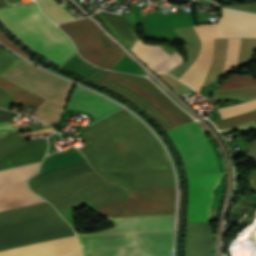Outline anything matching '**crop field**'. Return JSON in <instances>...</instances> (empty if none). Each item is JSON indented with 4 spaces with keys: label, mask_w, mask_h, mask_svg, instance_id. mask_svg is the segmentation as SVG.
<instances>
[{
    "label": "crop field",
    "mask_w": 256,
    "mask_h": 256,
    "mask_svg": "<svg viewBox=\"0 0 256 256\" xmlns=\"http://www.w3.org/2000/svg\"><path fill=\"white\" fill-rule=\"evenodd\" d=\"M84 159L85 158L83 157V155L75 148L54 153L53 157L44 159L41 168L37 174L50 171Z\"/></svg>",
    "instance_id": "15"
},
{
    "label": "crop field",
    "mask_w": 256,
    "mask_h": 256,
    "mask_svg": "<svg viewBox=\"0 0 256 256\" xmlns=\"http://www.w3.org/2000/svg\"><path fill=\"white\" fill-rule=\"evenodd\" d=\"M178 148L187 175L218 172L211 147L196 122L167 131Z\"/></svg>",
    "instance_id": "8"
},
{
    "label": "crop field",
    "mask_w": 256,
    "mask_h": 256,
    "mask_svg": "<svg viewBox=\"0 0 256 256\" xmlns=\"http://www.w3.org/2000/svg\"><path fill=\"white\" fill-rule=\"evenodd\" d=\"M185 61L179 54L176 52L173 53L170 57L166 58L164 61H162L160 64H158L153 69L157 72H169L172 70L175 66Z\"/></svg>",
    "instance_id": "25"
},
{
    "label": "crop field",
    "mask_w": 256,
    "mask_h": 256,
    "mask_svg": "<svg viewBox=\"0 0 256 256\" xmlns=\"http://www.w3.org/2000/svg\"><path fill=\"white\" fill-rule=\"evenodd\" d=\"M26 141L28 140L25 137L17 134H12L0 140V157L4 156L5 154L12 151Z\"/></svg>",
    "instance_id": "23"
},
{
    "label": "crop field",
    "mask_w": 256,
    "mask_h": 256,
    "mask_svg": "<svg viewBox=\"0 0 256 256\" xmlns=\"http://www.w3.org/2000/svg\"><path fill=\"white\" fill-rule=\"evenodd\" d=\"M20 60L8 51L4 49L0 50V76Z\"/></svg>",
    "instance_id": "26"
},
{
    "label": "crop field",
    "mask_w": 256,
    "mask_h": 256,
    "mask_svg": "<svg viewBox=\"0 0 256 256\" xmlns=\"http://www.w3.org/2000/svg\"><path fill=\"white\" fill-rule=\"evenodd\" d=\"M58 26L72 39L79 54L97 66L115 46L95 24L87 19Z\"/></svg>",
    "instance_id": "9"
},
{
    "label": "crop field",
    "mask_w": 256,
    "mask_h": 256,
    "mask_svg": "<svg viewBox=\"0 0 256 256\" xmlns=\"http://www.w3.org/2000/svg\"><path fill=\"white\" fill-rule=\"evenodd\" d=\"M13 112L5 111L0 109V122L3 121H12ZM11 122L0 123V136L10 132L17 130L15 127L10 125Z\"/></svg>",
    "instance_id": "28"
},
{
    "label": "crop field",
    "mask_w": 256,
    "mask_h": 256,
    "mask_svg": "<svg viewBox=\"0 0 256 256\" xmlns=\"http://www.w3.org/2000/svg\"><path fill=\"white\" fill-rule=\"evenodd\" d=\"M12 97L13 95H11L9 92H7L2 87H0V107L1 108L8 109Z\"/></svg>",
    "instance_id": "29"
},
{
    "label": "crop field",
    "mask_w": 256,
    "mask_h": 256,
    "mask_svg": "<svg viewBox=\"0 0 256 256\" xmlns=\"http://www.w3.org/2000/svg\"><path fill=\"white\" fill-rule=\"evenodd\" d=\"M38 164L0 170V212L43 203L24 185ZM72 234V229L47 203L0 213V251ZM80 255L75 235L0 252V256Z\"/></svg>",
    "instance_id": "2"
},
{
    "label": "crop field",
    "mask_w": 256,
    "mask_h": 256,
    "mask_svg": "<svg viewBox=\"0 0 256 256\" xmlns=\"http://www.w3.org/2000/svg\"><path fill=\"white\" fill-rule=\"evenodd\" d=\"M0 41L3 42L5 45H7L12 50L16 51L20 55L24 56L25 58H30L28 55H26L23 51L15 47L1 32H0Z\"/></svg>",
    "instance_id": "31"
},
{
    "label": "crop field",
    "mask_w": 256,
    "mask_h": 256,
    "mask_svg": "<svg viewBox=\"0 0 256 256\" xmlns=\"http://www.w3.org/2000/svg\"><path fill=\"white\" fill-rule=\"evenodd\" d=\"M97 83L140 106L165 131L193 121L147 78L107 71Z\"/></svg>",
    "instance_id": "5"
},
{
    "label": "crop field",
    "mask_w": 256,
    "mask_h": 256,
    "mask_svg": "<svg viewBox=\"0 0 256 256\" xmlns=\"http://www.w3.org/2000/svg\"><path fill=\"white\" fill-rule=\"evenodd\" d=\"M8 6L5 2V0H0V7H6Z\"/></svg>",
    "instance_id": "33"
},
{
    "label": "crop field",
    "mask_w": 256,
    "mask_h": 256,
    "mask_svg": "<svg viewBox=\"0 0 256 256\" xmlns=\"http://www.w3.org/2000/svg\"><path fill=\"white\" fill-rule=\"evenodd\" d=\"M119 108L109 100L77 86L68 106L70 110L94 117V120L89 122L91 124L117 111Z\"/></svg>",
    "instance_id": "12"
},
{
    "label": "crop field",
    "mask_w": 256,
    "mask_h": 256,
    "mask_svg": "<svg viewBox=\"0 0 256 256\" xmlns=\"http://www.w3.org/2000/svg\"><path fill=\"white\" fill-rule=\"evenodd\" d=\"M81 136L91 144L80 150L98 173L158 142L123 109L87 127ZM100 175L126 190L174 188L171 166L159 143Z\"/></svg>",
    "instance_id": "1"
},
{
    "label": "crop field",
    "mask_w": 256,
    "mask_h": 256,
    "mask_svg": "<svg viewBox=\"0 0 256 256\" xmlns=\"http://www.w3.org/2000/svg\"><path fill=\"white\" fill-rule=\"evenodd\" d=\"M130 50L143 60L150 69L169 56L157 47L143 46L138 40Z\"/></svg>",
    "instance_id": "18"
},
{
    "label": "crop field",
    "mask_w": 256,
    "mask_h": 256,
    "mask_svg": "<svg viewBox=\"0 0 256 256\" xmlns=\"http://www.w3.org/2000/svg\"><path fill=\"white\" fill-rule=\"evenodd\" d=\"M194 27L202 41V48L198 59L179 80L199 91L210 67L213 51V38H217V23L194 25Z\"/></svg>",
    "instance_id": "11"
},
{
    "label": "crop field",
    "mask_w": 256,
    "mask_h": 256,
    "mask_svg": "<svg viewBox=\"0 0 256 256\" xmlns=\"http://www.w3.org/2000/svg\"><path fill=\"white\" fill-rule=\"evenodd\" d=\"M124 55L125 54L115 46L98 67L111 69Z\"/></svg>",
    "instance_id": "27"
},
{
    "label": "crop field",
    "mask_w": 256,
    "mask_h": 256,
    "mask_svg": "<svg viewBox=\"0 0 256 256\" xmlns=\"http://www.w3.org/2000/svg\"><path fill=\"white\" fill-rule=\"evenodd\" d=\"M239 41L240 38H229L224 69L236 64Z\"/></svg>",
    "instance_id": "24"
},
{
    "label": "crop field",
    "mask_w": 256,
    "mask_h": 256,
    "mask_svg": "<svg viewBox=\"0 0 256 256\" xmlns=\"http://www.w3.org/2000/svg\"><path fill=\"white\" fill-rule=\"evenodd\" d=\"M223 172L188 177L189 205L187 222H207L212 188Z\"/></svg>",
    "instance_id": "10"
},
{
    "label": "crop field",
    "mask_w": 256,
    "mask_h": 256,
    "mask_svg": "<svg viewBox=\"0 0 256 256\" xmlns=\"http://www.w3.org/2000/svg\"><path fill=\"white\" fill-rule=\"evenodd\" d=\"M105 70H100V69H95L88 77L87 79L93 81V82H97L101 76L105 73Z\"/></svg>",
    "instance_id": "32"
},
{
    "label": "crop field",
    "mask_w": 256,
    "mask_h": 256,
    "mask_svg": "<svg viewBox=\"0 0 256 256\" xmlns=\"http://www.w3.org/2000/svg\"><path fill=\"white\" fill-rule=\"evenodd\" d=\"M57 211L89 202L96 208L128 198L120 187L107 183L94 170L32 189Z\"/></svg>",
    "instance_id": "6"
},
{
    "label": "crop field",
    "mask_w": 256,
    "mask_h": 256,
    "mask_svg": "<svg viewBox=\"0 0 256 256\" xmlns=\"http://www.w3.org/2000/svg\"><path fill=\"white\" fill-rule=\"evenodd\" d=\"M0 20L22 42L60 66L76 53L68 37L43 16L35 2L0 8Z\"/></svg>",
    "instance_id": "4"
},
{
    "label": "crop field",
    "mask_w": 256,
    "mask_h": 256,
    "mask_svg": "<svg viewBox=\"0 0 256 256\" xmlns=\"http://www.w3.org/2000/svg\"><path fill=\"white\" fill-rule=\"evenodd\" d=\"M213 237L207 223H187L186 256H212Z\"/></svg>",
    "instance_id": "14"
},
{
    "label": "crop field",
    "mask_w": 256,
    "mask_h": 256,
    "mask_svg": "<svg viewBox=\"0 0 256 256\" xmlns=\"http://www.w3.org/2000/svg\"><path fill=\"white\" fill-rule=\"evenodd\" d=\"M131 198L97 212L107 217L173 215L174 189L127 191ZM117 227L77 236L171 231L173 216L110 218Z\"/></svg>",
    "instance_id": "3"
},
{
    "label": "crop field",
    "mask_w": 256,
    "mask_h": 256,
    "mask_svg": "<svg viewBox=\"0 0 256 256\" xmlns=\"http://www.w3.org/2000/svg\"><path fill=\"white\" fill-rule=\"evenodd\" d=\"M99 15L130 45L138 39L135 36L136 29L121 15L100 12Z\"/></svg>",
    "instance_id": "16"
},
{
    "label": "crop field",
    "mask_w": 256,
    "mask_h": 256,
    "mask_svg": "<svg viewBox=\"0 0 256 256\" xmlns=\"http://www.w3.org/2000/svg\"><path fill=\"white\" fill-rule=\"evenodd\" d=\"M253 120H256V111H252L233 118L217 121L214 122V124L217 126L218 129H222L226 127H233Z\"/></svg>",
    "instance_id": "22"
},
{
    "label": "crop field",
    "mask_w": 256,
    "mask_h": 256,
    "mask_svg": "<svg viewBox=\"0 0 256 256\" xmlns=\"http://www.w3.org/2000/svg\"><path fill=\"white\" fill-rule=\"evenodd\" d=\"M256 109V100L218 109L222 119Z\"/></svg>",
    "instance_id": "21"
},
{
    "label": "crop field",
    "mask_w": 256,
    "mask_h": 256,
    "mask_svg": "<svg viewBox=\"0 0 256 256\" xmlns=\"http://www.w3.org/2000/svg\"><path fill=\"white\" fill-rule=\"evenodd\" d=\"M221 85L217 90L247 88L256 86V79H252L251 75H234Z\"/></svg>",
    "instance_id": "20"
},
{
    "label": "crop field",
    "mask_w": 256,
    "mask_h": 256,
    "mask_svg": "<svg viewBox=\"0 0 256 256\" xmlns=\"http://www.w3.org/2000/svg\"><path fill=\"white\" fill-rule=\"evenodd\" d=\"M223 7L256 13V3H250V4H246V5H226Z\"/></svg>",
    "instance_id": "30"
},
{
    "label": "crop field",
    "mask_w": 256,
    "mask_h": 256,
    "mask_svg": "<svg viewBox=\"0 0 256 256\" xmlns=\"http://www.w3.org/2000/svg\"><path fill=\"white\" fill-rule=\"evenodd\" d=\"M0 85L14 95L12 103L26 107L29 103L39 106L44 99L0 78Z\"/></svg>",
    "instance_id": "17"
},
{
    "label": "crop field",
    "mask_w": 256,
    "mask_h": 256,
    "mask_svg": "<svg viewBox=\"0 0 256 256\" xmlns=\"http://www.w3.org/2000/svg\"><path fill=\"white\" fill-rule=\"evenodd\" d=\"M78 238L83 256H171V232Z\"/></svg>",
    "instance_id": "7"
},
{
    "label": "crop field",
    "mask_w": 256,
    "mask_h": 256,
    "mask_svg": "<svg viewBox=\"0 0 256 256\" xmlns=\"http://www.w3.org/2000/svg\"><path fill=\"white\" fill-rule=\"evenodd\" d=\"M221 10L219 37H256V15Z\"/></svg>",
    "instance_id": "13"
},
{
    "label": "crop field",
    "mask_w": 256,
    "mask_h": 256,
    "mask_svg": "<svg viewBox=\"0 0 256 256\" xmlns=\"http://www.w3.org/2000/svg\"><path fill=\"white\" fill-rule=\"evenodd\" d=\"M43 13L54 23L75 19L69 12L62 8L56 0H36Z\"/></svg>",
    "instance_id": "19"
}]
</instances>
